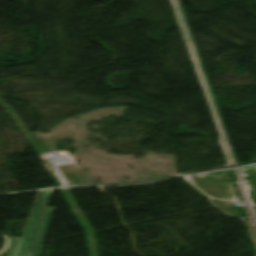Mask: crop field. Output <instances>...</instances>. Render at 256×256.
<instances>
[{"instance_id":"obj_1","label":"crop field","mask_w":256,"mask_h":256,"mask_svg":"<svg viewBox=\"0 0 256 256\" xmlns=\"http://www.w3.org/2000/svg\"><path fill=\"white\" fill-rule=\"evenodd\" d=\"M53 190L39 192L22 238H14L7 256H37L54 207H47Z\"/></svg>"}]
</instances>
